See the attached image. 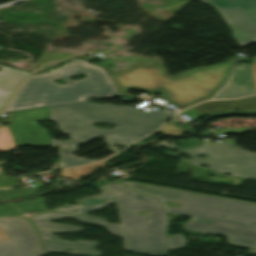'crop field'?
Segmentation results:
<instances>
[{
  "mask_svg": "<svg viewBox=\"0 0 256 256\" xmlns=\"http://www.w3.org/2000/svg\"><path fill=\"white\" fill-rule=\"evenodd\" d=\"M255 93L252 69L237 64L230 82L217 94L218 98H234Z\"/></svg>",
  "mask_w": 256,
  "mask_h": 256,
  "instance_id": "3316defc",
  "label": "crop field"
},
{
  "mask_svg": "<svg viewBox=\"0 0 256 256\" xmlns=\"http://www.w3.org/2000/svg\"><path fill=\"white\" fill-rule=\"evenodd\" d=\"M167 142L171 141H162L156 145L149 146V148L162 146H166L171 150L179 148L173 145L172 142L171 145L166 144ZM179 149L183 150L184 152L177 154L171 152L164 153L176 158H178L177 155L187 153L193 159L181 160L187 161L195 165L206 164L209 166V169L217 171L221 174L230 173L234 176L237 175L241 178L256 179V153L241 150L229 142L212 146L202 144L192 149ZM195 155H209L211 157L207 159H200Z\"/></svg>",
  "mask_w": 256,
  "mask_h": 256,
  "instance_id": "dd49c442",
  "label": "crop field"
},
{
  "mask_svg": "<svg viewBox=\"0 0 256 256\" xmlns=\"http://www.w3.org/2000/svg\"><path fill=\"white\" fill-rule=\"evenodd\" d=\"M81 73L87 77L79 81L68 78ZM55 78L62 79L67 86L52 82ZM90 96L109 98L119 96V93L104 68L73 59L53 72L30 76L13 96L5 112L83 102Z\"/></svg>",
  "mask_w": 256,
  "mask_h": 256,
  "instance_id": "34b2d1b8",
  "label": "crop field"
},
{
  "mask_svg": "<svg viewBox=\"0 0 256 256\" xmlns=\"http://www.w3.org/2000/svg\"><path fill=\"white\" fill-rule=\"evenodd\" d=\"M138 192L160 200L165 212L192 216L184 229L212 234H225L232 245L256 249V205L205 195L159 188L143 184L123 182ZM182 204L180 208H168L166 203ZM227 218L222 219L219 216Z\"/></svg>",
  "mask_w": 256,
  "mask_h": 256,
  "instance_id": "ac0d7876",
  "label": "crop field"
},
{
  "mask_svg": "<svg viewBox=\"0 0 256 256\" xmlns=\"http://www.w3.org/2000/svg\"><path fill=\"white\" fill-rule=\"evenodd\" d=\"M195 109L205 113L206 115L222 110H255L256 109V96L230 101H208L202 103Z\"/></svg>",
  "mask_w": 256,
  "mask_h": 256,
  "instance_id": "22f410ed",
  "label": "crop field"
},
{
  "mask_svg": "<svg viewBox=\"0 0 256 256\" xmlns=\"http://www.w3.org/2000/svg\"><path fill=\"white\" fill-rule=\"evenodd\" d=\"M62 217H74L82 223H89L91 225L102 226L107 228L113 235L122 238L120 225L107 224L106 219L91 218L89 216H80L74 214H55L44 213L31 215L28 218L32 221L40 232L41 243L46 252L69 254L77 256H101V252L94 251L97 244L95 242L79 241V242H63L56 237L50 236L51 233H70L75 231H84L74 226L54 225L50 224L51 219L57 220ZM90 247L89 250L83 249ZM65 249H71V252H65Z\"/></svg>",
  "mask_w": 256,
  "mask_h": 256,
  "instance_id": "e52e79f7",
  "label": "crop field"
},
{
  "mask_svg": "<svg viewBox=\"0 0 256 256\" xmlns=\"http://www.w3.org/2000/svg\"><path fill=\"white\" fill-rule=\"evenodd\" d=\"M255 252H256V250H255Z\"/></svg>",
  "mask_w": 256,
  "mask_h": 256,
  "instance_id": "a9b5d70f",
  "label": "crop field"
},
{
  "mask_svg": "<svg viewBox=\"0 0 256 256\" xmlns=\"http://www.w3.org/2000/svg\"><path fill=\"white\" fill-rule=\"evenodd\" d=\"M233 65L224 63L195 68L175 78L167 74L164 65H136L110 76L122 96L130 88L146 91L160 89L165 92L162 98L182 110L202 100L211 99L228 81Z\"/></svg>",
  "mask_w": 256,
  "mask_h": 256,
  "instance_id": "412701ff",
  "label": "crop field"
},
{
  "mask_svg": "<svg viewBox=\"0 0 256 256\" xmlns=\"http://www.w3.org/2000/svg\"><path fill=\"white\" fill-rule=\"evenodd\" d=\"M174 113L176 111L164 108L147 114L129 106L97 105L92 102L54 107L50 108V120L58 123L60 131L71 133V140L61 142L51 138L50 144L61 146L60 169L88 164L94 161L72 156L77 150L76 144H85L102 134L110 145L107 148L115 153L117 148L114 145L133 143L154 131ZM93 122H109L117 127L113 130L99 129L92 127ZM69 147L71 151H68Z\"/></svg>",
  "mask_w": 256,
  "mask_h": 256,
  "instance_id": "8a807250",
  "label": "crop field"
},
{
  "mask_svg": "<svg viewBox=\"0 0 256 256\" xmlns=\"http://www.w3.org/2000/svg\"><path fill=\"white\" fill-rule=\"evenodd\" d=\"M1 163H6V161H1L0 164H1ZM0 170H1V169H0Z\"/></svg>",
  "mask_w": 256,
  "mask_h": 256,
  "instance_id": "00972430",
  "label": "crop field"
},
{
  "mask_svg": "<svg viewBox=\"0 0 256 256\" xmlns=\"http://www.w3.org/2000/svg\"><path fill=\"white\" fill-rule=\"evenodd\" d=\"M98 189L101 191V195L93 198H84L76 202L79 204L78 206L67 205L56 209V211L84 215L92 211H100L107 204L116 202L114 195L105 187V185Z\"/></svg>",
  "mask_w": 256,
  "mask_h": 256,
  "instance_id": "28ad6ade",
  "label": "crop field"
},
{
  "mask_svg": "<svg viewBox=\"0 0 256 256\" xmlns=\"http://www.w3.org/2000/svg\"><path fill=\"white\" fill-rule=\"evenodd\" d=\"M16 147L7 127L0 128V151Z\"/></svg>",
  "mask_w": 256,
  "mask_h": 256,
  "instance_id": "d9b57169",
  "label": "crop field"
},
{
  "mask_svg": "<svg viewBox=\"0 0 256 256\" xmlns=\"http://www.w3.org/2000/svg\"><path fill=\"white\" fill-rule=\"evenodd\" d=\"M19 215L18 211L15 210L12 204H7L0 208V216Z\"/></svg>",
  "mask_w": 256,
  "mask_h": 256,
  "instance_id": "733c2abd",
  "label": "crop field"
},
{
  "mask_svg": "<svg viewBox=\"0 0 256 256\" xmlns=\"http://www.w3.org/2000/svg\"><path fill=\"white\" fill-rule=\"evenodd\" d=\"M14 204L16 205V207L19 210H21L23 212V214L28 213V212L35 213V212L46 211V209L44 207V202L41 199H38L33 203L17 202Z\"/></svg>",
  "mask_w": 256,
  "mask_h": 256,
  "instance_id": "5142ce71",
  "label": "crop field"
},
{
  "mask_svg": "<svg viewBox=\"0 0 256 256\" xmlns=\"http://www.w3.org/2000/svg\"><path fill=\"white\" fill-rule=\"evenodd\" d=\"M217 9L239 46L256 41V0H199Z\"/></svg>",
  "mask_w": 256,
  "mask_h": 256,
  "instance_id": "d8731c3e",
  "label": "crop field"
},
{
  "mask_svg": "<svg viewBox=\"0 0 256 256\" xmlns=\"http://www.w3.org/2000/svg\"><path fill=\"white\" fill-rule=\"evenodd\" d=\"M10 237H8L7 235H5L1 230H0V240H4V239H8Z\"/></svg>",
  "mask_w": 256,
  "mask_h": 256,
  "instance_id": "dafd665d",
  "label": "crop field"
},
{
  "mask_svg": "<svg viewBox=\"0 0 256 256\" xmlns=\"http://www.w3.org/2000/svg\"><path fill=\"white\" fill-rule=\"evenodd\" d=\"M236 132V133H242V132H248L252 131L250 127H235V128H229V129H223V130H215L214 134H219V133H229V132Z\"/></svg>",
  "mask_w": 256,
  "mask_h": 256,
  "instance_id": "4a817a6b",
  "label": "crop field"
},
{
  "mask_svg": "<svg viewBox=\"0 0 256 256\" xmlns=\"http://www.w3.org/2000/svg\"><path fill=\"white\" fill-rule=\"evenodd\" d=\"M96 166H99L101 168L106 167L105 164L100 162V163H96V164L89 165V166H84V167H79V168H74V169H69V170H63V171H61V173L59 175L62 177H65V178H72L73 181H78L80 179L79 176H82L85 174L89 175V174L95 172L96 170L94 167H96Z\"/></svg>",
  "mask_w": 256,
  "mask_h": 256,
  "instance_id": "cbeb9de0",
  "label": "crop field"
},
{
  "mask_svg": "<svg viewBox=\"0 0 256 256\" xmlns=\"http://www.w3.org/2000/svg\"><path fill=\"white\" fill-rule=\"evenodd\" d=\"M161 130L165 131L164 133H168V134H176V135L184 134V132L179 131L177 127H174L172 125H164L161 128Z\"/></svg>",
  "mask_w": 256,
  "mask_h": 256,
  "instance_id": "214f88e0",
  "label": "crop field"
},
{
  "mask_svg": "<svg viewBox=\"0 0 256 256\" xmlns=\"http://www.w3.org/2000/svg\"><path fill=\"white\" fill-rule=\"evenodd\" d=\"M105 185L115 195L117 201L125 250L152 256L166 255V217L158 200L117 183ZM137 202L141 204L138 205ZM138 211H153V213L138 218ZM144 218H148V221H142ZM167 238V250L182 248L186 243L182 235ZM147 249L150 252H146Z\"/></svg>",
  "mask_w": 256,
  "mask_h": 256,
  "instance_id": "f4fd0767",
  "label": "crop field"
},
{
  "mask_svg": "<svg viewBox=\"0 0 256 256\" xmlns=\"http://www.w3.org/2000/svg\"><path fill=\"white\" fill-rule=\"evenodd\" d=\"M253 69V76H254V83H255V90H256V62L252 64Z\"/></svg>",
  "mask_w": 256,
  "mask_h": 256,
  "instance_id": "92a150f3",
  "label": "crop field"
},
{
  "mask_svg": "<svg viewBox=\"0 0 256 256\" xmlns=\"http://www.w3.org/2000/svg\"><path fill=\"white\" fill-rule=\"evenodd\" d=\"M0 229L10 236L0 241V256H42L32 225L23 217L0 218Z\"/></svg>",
  "mask_w": 256,
  "mask_h": 256,
  "instance_id": "5a996713",
  "label": "crop field"
},
{
  "mask_svg": "<svg viewBox=\"0 0 256 256\" xmlns=\"http://www.w3.org/2000/svg\"><path fill=\"white\" fill-rule=\"evenodd\" d=\"M3 68L0 72V110L15 91V89L20 85V83L28 75L27 72L1 66Z\"/></svg>",
  "mask_w": 256,
  "mask_h": 256,
  "instance_id": "d1516ede",
  "label": "crop field"
},
{
  "mask_svg": "<svg viewBox=\"0 0 256 256\" xmlns=\"http://www.w3.org/2000/svg\"><path fill=\"white\" fill-rule=\"evenodd\" d=\"M182 114L186 115L187 117L193 119V120H197L198 118L202 117V116H205V114L191 108V109H188V110H185L183 112H181Z\"/></svg>",
  "mask_w": 256,
  "mask_h": 256,
  "instance_id": "bc2a9ffb",
  "label": "crop field"
}]
</instances>
